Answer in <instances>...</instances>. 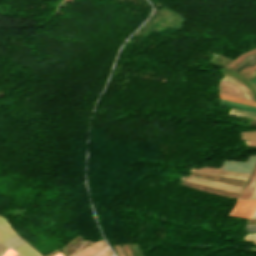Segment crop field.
Returning a JSON list of instances; mask_svg holds the SVG:
<instances>
[{
	"mask_svg": "<svg viewBox=\"0 0 256 256\" xmlns=\"http://www.w3.org/2000/svg\"><path fill=\"white\" fill-rule=\"evenodd\" d=\"M256 207V201L237 200L230 215L251 218Z\"/></svg>",
	"mask_w": 256,
	"mask_h": 256,
	"instance_id": "obj_1",
	"label": "crop field"
},
{
	"mask_svg": "<svg viewBox=\"0 0 256 256\" xmlns=\"http://www.w3.org/2000/svg\"><path fill=\"white\" fill-rule=\"evenodd\" d=\"M181 180L193 182V183H197V184H202V185H206V186H211V187H215V188H219V189H224V190H228V191H233V192H237V193H239L240 189H241L240 187H236L233 185L223 184V183L210 181V180H206V179H201V178H196V177H191V176H189L188 178L181 177Z\"/></svg>",
	"mask_w": 256,
	"mask_h": 256,
	"instance_id": "obj_2",
	"label": "crop field"
},
{
	"mask_svg": "<svg viewBox=\"0 0 256 256\" xmlns=\"http://www.w3.org/2000/svg\"><path fill=\"white\" fill-rule=\"evenodd\" d=\"M190 170L198 171V172H204V173H210V174H216V175H222V176H228V177H234V178H239V179H243V180H245L246 177H247L246 174L222 171V170H219V168H216V167H202L200 169L190 168Z\"/></svg>",
	"mask_w": 256,
	"mask_h": 256,
	"instance_id": "obj_3",
	"label": "crop field"
},
{
	"mask_svg": "<svg viewBox=\"0 0 256 256\" xmlns=\"http://www.w3.org/2000/svg\"><path fill=\"white\" fill-rule=\"evenodd\" d=\"M256 185V164L248 178V180L246 181L239 198H244V199H249L254 187Z\"/></svg>",
	"mask_w": 256,
	"mask_h": 256,
	"instance_id": "obj_4",
	"label": "crop field"
},
{
	"mask_svg": "<svg viewBox=\"0 0 256 256\" xmlns=\"http://www.w3.org/2000/svg\"><path fill=\"white\" fill-rule=\"evenodd\" d=\"M16 234L8 225L7 221L0 217V242H5L7 239Z\"/></svg>",
	"mask_w": 256,
	"mask_h": 256,
	"instance_id": "obj_5",
	"label": "crop field"
},
{
	"mask_svg": "<svg viewBox=\"0 0 256 256\" xmlns=\"http://www.w3.org/2000/svg\"><path fill=\"white\" fill-rule=\"evenodd\" d=\"M106 247L103 240L98 241L96 243H93L89 247L85 248L83 251H81L76 256H91L95 252L101 250L102 248Z\"/></svg>",
	"mask_w": 256,
	"mask_h": 256,
	"instance_id": "obj_6",
	"label": "crop field"
},
{
	"mask_svg": "<svg viewBox=\"0 0 256 256\" xmlns=\"http://www.w3.org/2000/svg\"><path fill=\"white\" fill-rule=\"evenodd\" d=\"M223 80H225V81H227L229 83L234 84L241 91L244 99L253 101L251 96H250V94H249V92L245 89V87L241 83L235 81L234 79H232V78H230V77H228L226 75L223 78Z\"/></svg>",
	"mask_w": 256,
	"mask_h": 256,
	"instance_id": "obj_7",
	"label": "crop field"
},
{
	"mask_svg": "<svg viewBox=\"0 0 256 256\" xmlns=\"http://www.w3.org/2000/svg\"><path fill=\"white\" fill-rule=\"evenodd\" d=\"M15 251L22 256H41L27 245H24Z\"/></svg>",
	"mask_w": 256,
	"mask_h": 256,
	"instance_id": "obj_8",
	"label": "crop field"
},
{
	"mask_svg": "<svg viewBox=\"0 0 256 256\" xmlns=\"http://www.w3.org/2000/svg\"><path fill=\"white\" fill-rule=\"evenodd\" d=\"M219 95H220V98H222V99H226V100H230V101H234V102H238V103H242V104H246V105L256 107V103H254V102L246 101V100H243V99L235 98V97L220 94V93H219Z\"/></svg>",
	"mask_w": 256,
	"mask_h": 256,
	"instance_id": "obj_9",
	"label": "crop field"
},
{
	"mask_svg": "<svg viewBox=\"0 0 256 256\" xmlns=\"http://www.w3.org/2000/svg\"><path fill=\"white\" fill-rule=\"evenodd\" d=\"M241 139H256V131L240 133Z\"/></svg>",
	"mask_w": 256,
	"mask_h": 256,
	"instance_id": "obj_10",
	"label": "crop field"
},
{
	"mask_svg": "<svg viewBox=\"0 0 256 256\" xmlns=\"http://www.w3.org/2000/svg\"><path fill=\"white\" fill-rule=\"evenodd\" d=\"M246 231L256 232V226L255 225H246Z\"/></svg>",
	"mask_w": 256,
	"mask_h": 256,
	"instance_id": "obj_11",
	"label": "crop field"
},
{
	"mask_svg": "<svg viewBox=\"0 0 256 256\" xmlns=\"http://www.w3.org/2000/svg\"><path fill=\"white\" fill-rule=\"evenodd\" d=\"M17 254L14 253L12 250H8L3 256H16Z\"/></svg>",
	"mask_w": 256,
	"mask_h": 256,
	"instance_id": "obj_12",
	"label": "crop field"
},
{
	"mask_svg": "<svg viewBox=\"0 0 256 256\" xmlns=\"http://www.w3.org/2000/svg\"><path fill=\"white\" fill-rule=\"evenodd\" d=\"M111 252L109 251V249L107 251H105L103 254H101L100 256H111Z\"/></svg>",
	"mask_w": 256,
	"mask_h": 256,
	"instance_id": "obj_13",
	"label": "crop field"
},
{
	"mask_svg": "<svg viewBox=\"0 0 256 256\" xmlns=\"http://www.w3.org/2000/svg\"><path fill=\"white\" fill-rule=\"evenodd\" d=\"M115 248H116V250H117L118 255H119V256H123V253H122L120 247H115Z\"/></svg>",
	"mask_w": 256,
	"mask_h": 256,
	"instance_id": "obj_14",
	"label": "crop field"
},
{
	"mask_svg": "<svg viewBox=\"0 0 256 256\" xmlns=\"http://www.w3.org/2000/svg\"><path fill=\"white\" fill-rule=\"evenodd\" d=\"M250 199H256V187H255Z\"/></svg>",
	"mask_w": 256,
	"mask_h": 256,
	"instance_id": "obj_15",
	"label": "crop field"
},
{
	"mask_svg": "<svg viewBox=\"0 0 256 256\" xmlns=\"http://www.w3.org/2000/svg\"><path fill=\"white\" fill-rule=\"evenodd\" d=\"M247 145H256V141H245Z\"/></svg>",
	"mask_w": 256,
	"mask_h": 256,
	"instance_id": "obj_16",
	"label": "crop field"
},
{
	"mask_svg": "<svg viewBox=\"0 0 256 256\" xmlns=\"http://www.w3.org/2000/svg\"><path fill=\"white\" fill-rule=\"evenodd\" d=\"M59 253V252H58ZM55 256H62L60 253L59 254H57V255H55Z\"/></svg>",
	"mask_w": 256,
	"mask_h": 256,
	"instance_id": "obj_17",
	"label": "crop field"
}]
</instances>
